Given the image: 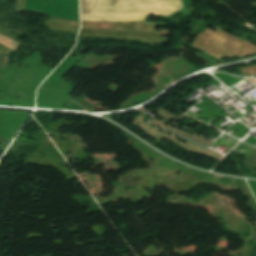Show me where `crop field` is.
I'll list each match as a JSON object with an SVG mask.
<instances>
[{
  "mask_svg": "<svg viewBox=\"0 0 256 256\" xmlns=\"http://www.w3.org/2000/svg\"><path fill=\"white\" fill-rule=\"evenodd\" d=\"M181 0H80L82 21H139L150 15H171Z\"/></svg>",
  "mask_w": 256,
  "mask_h": 256,
  "instance_id": "8a807250",
  "label": "crop field"
},
{
  "mask_svg": "<svg viewBox=\"0 0 256 256\" xmlns=\"http://www.w3.org/2000/svg\"><path fill=\"white\" fill-rule=\"evenodd\" d=\"M219 61L226 58H237L256 53V46L225 34L216 27V32L206 29L191 44Z\"/></svg>",
  "mask_w": 256,
  "mask_h": 256,
  "instance_id": "ac0d7876",
  "label": "crop field"
},
{
  "mask_svg": "<svg viewBox=\"0 0 256 256\" xmlns=\"http://www.w3.org/2000/svg\"><path fill=\"white\" fill-rule=\"evenodd\" d=\"M240 71H241V73H243L246 76H248V75H255L256 74V66H251V67L243 68V69H240Z\"/></svg>",
  "mask_w": 256,
  "mask_h": 256,
  "instance_id": "34b2d1b8",
  "label": "crop field"
}]
</instances>
